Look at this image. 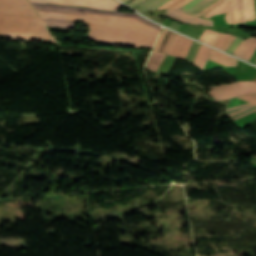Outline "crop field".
I'll use <instances>...</instances> for the list:
<instances>
[{"instance_id":"crop-field-9","label":"crop field","mask_w":256,"mask_h":256,"mask_svg":"<svg viewBox=\"0 0 256 256\" xmlns=\"http://www.w3.org/2000/svg\"><path fill=\"white\" fill-rule=\"evenodd\" d=\"M256 111V105L248 103L245 105L233 107L227 109V115L229 118L236 120L244 115H247L249 113H252Z\"/></svg>"},{"instance_id":"crop-field-19","label":"crop field","mask_w":256,"mask_h":256,"mask_svg":"<svg viewBox=\"0 0 256 256\" xmlns=\"http://www.w3.org/2000/svg\"><path fill=\"white\" fill-rule=\"evenodd\" d=\"M166 32H167V29L163 28V30H162V32L160 34V37H159V39H158V41H157V43H156V45H155V47L153 49L154 51H157V49H158V47H159V45H160L164 35L166 34Z\"/></svg>"},{"instance_id":"crop-field-5","label":"crop field","mask_w":256,"mask_h":256,"mask_svg":"<svg viewBox=\"0 0 256 256\" xmlns=\"http://www.w3.org/2000/svg\"><path fill=\"white\" fill-rule=\"evenodd\" d=\"M166 15L172 19L179 20L184 23L213 26L212 20L202 19L200 17L187 14L183 12L180 8L167 9Z\"/></svg>"},{"instance_id":"crop-field-1","label":"crop field","mask_w":256,"mask_h":256,"mask_svg":"<svg viewBox=\"0 0 256 256\" xmlns=\"http://www.w3.org/2000/svg\"><path fill=\"white\" fill-rule=\"evenodd\" d=\"M47 25L74 28L77 21H84L90 27L88 38L102 44H118L151 47L161 29L137 13L99 11L80 5L99 9L117 10L122 4L115 0H29Z\"/></svg>"},{"instance_id":"crop-field-27","label":"crop field","mask_w":256,"mask_h":256,"mask_svg":"<svg viewBox=\"0 0 256 256\" xmlns=\"http://www.w3.org/2000/svg\"><path fill=\"white\" fill-rule=\"evenodd\" d=\"M167 1H169V0H163L161 3H159L157 6H155L152 9L155 10L156 8L160 7L162 4L166 3Z\"/></svg>"},{"instance_id":"crop-field-25","label":"crop field","mask_w":256,"mask_h":256,"mask_svg":"<svg viewBox=\"0 0 256 256\" xmlns=\"http://www.w3.org/2000/svg\"><path fill=\"white\" fill-rule=\"evenodd\" d=\"M216 0L212 1L211 3H209L208 5L204 6L203 8H201L200 10H198L197 12L194 13V15L198 14L199 12L203 11L204 9H206L208 6H210L212 3H214Z\"/></svg>"},{"instance_id":"crop-field-21","label":"crop field","mask_w":256,"mask_h":256,"mask_svg":"<svg viewBox=\"0 0 256 256\" xmlns=\"http://www.w3.org/2000/svg\"><path fill=\"white\" fill-rule=\"evenodd\" d=\"M211 59H213V60H215V61H217V62H219V63H221V64H223L225 66L233 65V64L228 63V62H226V61H224V60H222L220 58H217L215 56H211Z\"/></svg>"},{"instance_id":"crop-field-20","label":"crop field","mask_w":256,"mask_h":256,"mask_svg":"<svg viewBox=\"0 0 256 256\" xmlns=\"http://www.w3.org/2000/svg\"><path fill=\"white\" fill-rule=\"evenodd\" d=\"M239 98H242L248 102H252L256 104V98L250 96V95H245V96H239Z\"/></svg>"},{"instance_id":"crop-field-17","label":"crop field","mask_w":256,"mask_h":256,"mask_svg":"<svg viewBox=\"0 0 256 256\" xmlns=\"http://www.w3.org/2000/svg\"><path fill=\"white\" fill-rule=\"evenodd\" d=\"M201 1H203V0H192L188 4H186L185 6L181 7V9L186 12L189 9H191L192 7H194L195 5H197L198 3H200Z\"/></svg>"},{"instance_id":"crop-field-10","label":"crop field","mask_w":256,"mask_h":256,"mask_svg":"<svg viewBox=\"0 0 256 256\" xmlns=\"http://www.w3.org/2000/svg\"><path fill=\"white\" fill-rule=\"evenodd\" d=\"M211 50H212L211 48L201 45L193 63H195L197 66H199L201 68H204V66L210 56Z\"/></svg>"},{"instance_id":"crop-field-31","label":"crop field","mask_w":256,"mask_h":256,"mask_svg":"<svg viewBox=\"0 0 256 256\" xmlns=\"http://www.w3.org/2000/svg\"><path fill=\"white\" fill-rule=\"evenodd\" d=\"M122 1H124V2H125V1H127V0H122Z\"/></svg>"},{"instance_id":"crop-field-4","label":"crop field","mask_w":256,"mask_h":256,"mask_svg":"<svg viewBox=\"0 0 256 256\" xmlns=\"http://www.w3.org/2000/svg\"><path fill=\"white\" fill-rule=\"evenodd\" d=\"M207 93L214 100H226L234 96L256 92L255 81H235L221 85L211 86Z\"/></svg>"},{"instance_id":"crop-field-13","label":"crop field","mask_w":256,"mask_h":256,"mask_svg":"<svg viewBox=\"0 0 256 256\" xmlns=\"http://www.w3.org/2000/svg\"><path fill=\"white\" fill-rule=\"evenodd\" d=\"M199 46H200V43L194 41L186 59H188L190 62H192L198 49H199Z\"/></svg>"},{"instance_id":"crop-field-23","label":"crop field","mask_w":256,"mask_h":256,"mask_svg":"<svg viewBox=\"0 0 256 256\" xmlns=\"http://www.w3.org/2000/svg\"><path fill=\"white\" fill-rule=\"evenodd\" d=\"M234 38H235V37H234V36H232V37H231V39L226 43V45L223 47V49H222V50H224V51H225V50L228 48V46L231 44V42L234 40Z\"/></svg>"},{"instance_id":"crop-field-29","label":"crop field","mask_w":256,"mask_h":256,"mask_svg":"<svg viewBox=\"0 0 256 256\" xmlns=\"http://www.w3.org/2000/svg\"><path fill=\"white\" fill-rule=\"evenodd\" d=\"M180 1H181V0L176 1L175 3H173L172 5H170L168 8H170L171 6H173L174 4H176V3L180 2Z\"/></svg>"},{"instance_id":"crop-field-24","label":"crop field","mask_w":256,"mask_h":256,"mask_svg":"<svg viewBox=\"0 0 256 256\" xmlns=\"http://www.w3.org/2000/svg\"><path fill=\"white\" fill-rule=\"evenodd\" d=\"M188 1H190V0H183V1H181L180 3L174 5L172 8L180 7V6H182L183 4L187 3Z\"/></svg>"},{"instance_id":"crop-field-30","label":"crop field","mask_w":256,"mask_h":256,"mask_svg":"<svg viewBox=\"0 0 256 256\" xmlns=\"http://www.w3.org/2000/svg\"><path fill=\"white\" fill-rule=\"evenodd\" d=\"M130 1H132V0H130ZM130 1L126 2V4L129 3Z\"/></svg>"},{"instance_id":"crop-field-6","label":"crop field","mask_w":256,"mask_h":256,"mask_svg":"<svg viewBox=\"0 0 256 256\" xmlns=\"http://www.w3.org/2000/svg\"><path fill=\"white\" fill-rule=\"evenodd\" d=\"M191 43L192 40L176 34L168 49L167 54L185 58L189 51Z\"/></svg>"},{"instance_id":"crop-field-32","label":"crop field","mask_w":256,"mask_h":256,"mask_svg":"<svg viewBox=\"0 0 256 256\" xmlns=\"http://www.w3.org/2000/svg\"><path fill=\"white\" fill-rule=\"evenodd\" d=\"M252 96L256 97L255 95H252Z\"/></svg>"},{"instance_id":"crop-field-22","label":"crop field","mask_w":256,"mask_h":256,"mask_svg":"<svg viewBox=\"0 0 256 256\" xmlns=\"http://www.w3.org/2000/svg\"><path fill=\"white\" fill-rule=\"evenodd\" d=\"M221 1H223V0H219V1L215 2V3L212 4L210 7H208L206 10H204L203 12H201L200 14H198V16L203 15V14L206 13L208 10H210L211 8H213L214 6H216L217 4H219Z\"/></svg>"},{"instance_id":"crop-field-16","label":"crop field","mask_w":256,"mask_h":256,"mask_svg":"<svg viewBox=\"0 0 256 256\" xmlns=\"http://www.w3.org/2000/svg\"><path fill=\"white\" fill-rule=\"evenodd\" d=\"M243 38L237 37L236 40L231 44V46L228 48L226 52L232 54V52L236 49V47L239 45V43L242 41Z\"/></svg>"},{"instance_id":"crop-field-33","label":"crop field","mask_w":256,"mask_h":256,"mask_svg":"<svg viewBox=\"0 0 256 256\" xmlns=\"http://www.w3.org/2000/svg\"><path fill=\"white\" fill-rule=\"evenodd\" d=\"M255 81H256V79H255Z\"/></svg>"},{"instance_id":"crop-field-28","label":"crop field","mask_w":256,"mask_h":256,"mask_svg":"<svg viewBox=\"0 0 256 256\" xmlns=\"http://www.w3.org/2000/svg\"><path fill=\"white\" fill-rule=\"evenodd\" d=\"M176 0H171L170 2L166 3L165 5H163L160 8H166L167 6H169L170 4H172L173 2H175ZM159 9V8H158Z\"/></svg>"},{"instance_id":"crop-field-14","label":"crop field","mask_w":256,"mask_h":256,"mask_svg":"<svg viewBox=\"0 0 256 256\" xmlns=\"http://www.w3.org/2000/svg\"><path fill=\"white\" fill-rule=\"evenodd\" d=\"M212 54L215 55V56H217V57H220V58H222V59H225V60H227V61L233 62V63H235V64H236V62H237L236 59H234V58H232V57H230V56H228V55H225V54H223V53H221V52H219V51H217V50H215V49L213 50Z\"/></svg>"},{"instance_id":"crop-field-11","label":"crop field","mask_w":256,"mask_h":256,"mask_svg":"<svg viewBox=\"0 0 256 256\" xmlns=\"http://www.w3.org/2000/svg\"><path fill=\"white\" fill-rule=\"evenodd\" d=\"M221 36V33H216L212 30L205 29V31L199 37V40L214 46Z\"/></svg>"},{"instance_id":"crop-field-26","label":"crop field","mask_w":256,"mask_h":256,"mask_svg":"<svg viewBox=\"0 0 256 256\" xmlns=\"http://www.w3.org/2000/svg\"><path fill=\"white\" fill-rule=\"evenodd\" d=\"M141 1H143V0H134V1L130 2L128 5H130L132 7V6L140 3Z\"/></svg>"},{"instance_id":"crop-field-12","label":"crop field","mask_w":256,"mask_h":256,"mask_svg":"<svg viewBox=\"0 0 256 256\" xmlns=\"http://www.w3.org/2000/svg\"><path fill=\"white\" fill-rule=\"evenodd\" d=\"M161 1L162 0H146L134 9L143 14Z\"/></svg>"},{"instance_id":"crop-field-3","label":"crop field","mask_w":256,"mask_h":256,"mask_svg":"<svg viewBox=\"0 0 256 256\" xmlns=\"http://www.w3.org/2000/svg\"><path fill=\"white\" fill-rule=\"evenodd\" d=\"M217 13H226L227 23H245L246 20H256L254 11V0H224L215 8L206 13L210 17Z\"/></svg>"},{"instance_id":"crop-field-7","label":"crop field","mask_w":256,"mask_h":256,"mask_svg":"<svg viewBox=\"0 0 256 256\" xmlns=\"http://www.w3.org/2000/svg\"><path fill=\"white\" fill-rule=\"evenodd\" d=\"M256 49V38L250 37L241 42V44L234 51V55L248 60L251 54Z\"/></svg>"},{"instance_id":"crop-field-2","label":"crop field","mask_w":256,"mask_h":256,"mask_svg":"<svg viewBox=\"0 0 256 256\" xmlns=\"http://www.w3.org/2000/svg\"><path fill=\"white\" fill-rule=\"evenodd\" d=\"M0 10L35 13L27 0H0ZM0 11V38L57 42L37 14Z\"/></svg>"},{"instance_id":"crop-field-34","label":"crop field","mask_w":256,"mask_h":256,"mask_svg":"<svg viewBox=\"0 0 256 256\" xmlns=\"http://www.w3.org/2000/svg\"><path fill=\"white\" fill-rule=\"evenodd\" d=\"M135 7V6H134ZM133 8V7H132Z\"/></svg>"},{"instance_id":"crop-field-15","label":"crop field","mask_w":256,"mask_h":256,"mask_svg":"<svg viewBox=\"0 0 256 256\" xmlns=\"http://www.w3.org/2000/svg\"><path fill=\"white\" fill-rule=\"evenodd\" d=\"M230 34L224 33V35L221 37V39L218 41V43L215 45V47L222 49L224 44L227 42V40L230 38Z\"/></svg>"},{"instance_id":"crop-field-18","label":"crop field","mask_w":256,"mask_h":256,"mask_svg":"<svg viewBox=\"0 0 256 256\" xmlns=\"http://www.w3.org/2000/svg\"><path fill=\"white\" fill-rule=\"evenodd\" d=\"M212 0H205L202 3H200L199 5L195 6L194 8H192L191 10H189L187 13H194L195 11H197L198 9H200L201 7H203L204 5H206L207 3L211 2Z\"/></svg>"},{"instance_id":"crop-field-8","label":"crop field","mask_w":256,"mask_h":256,"mask_svg":"<svg viewBox=\"0 0 256 256\" xmlns=\"http://www.w3.org/2000/svg\"><path fill=\"white\" fill-rule=\"evenodd\" d=\"M171 31L168 30L162 44L160 45L159 49H158V52H162L163 48H164V45L170 35ZM156 53V52H151V55L146 63V67L154 70L157 72L158 68L160 67L161 63L163 62V60L165 59L166 55L164 54H160V53ZM155 72V73H156Z\"/></svg>"}]
</instances>
